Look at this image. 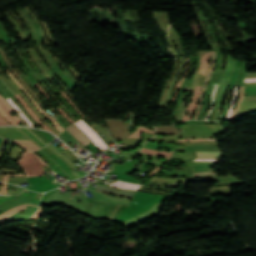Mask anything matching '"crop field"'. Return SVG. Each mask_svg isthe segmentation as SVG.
Returning a JSON list of instances; mask_svg holds the SVG:
<instances>
[{
  "instance_id": "8a807250",
  "label": "crop field",
  "mask_w": 256,
  "mask_h": 256,
  "mask_svg": "<svg viewBox=\"0 0 256 256\" xmlns=\"http://www.w3.org/2000/svg\"><path fill=\"white\" fill-rule=\"evenodd\" d=\"M25 176L43 175L44 171L41 166L46 163L32 152H23L17 160Z\"/></svg>"
},
{
  "instance_id": "ac0d7876",
  "label": "crop field",
  "mask_w": 256,
  "mask_h": 256,
  "mask_svg": "<svg viewBox=\"0 0 256 256\" xmlns=\"http://www.w3.org/2000/svg\"><path fill=\"white\" fill-rule=\"evenodd\" d=\"M74 124L77 127H79L97 147L102 148L104 150L108 148L106 144L101 140V138L93 131V129L82 119Z\"/></svg>"
},
{
  "instance_id": "34b2d1b8",
  "label": "crop field",
  "mask_w": 256,
  "mask_h": 256,
  "mask_svg": "<svg viewBox=\"0 0 256 256\" xmlns=\"http://www.w3.org/2000/svg\"><path fill=\"white\" fill-rule=\"evenodd\" d=\"M12 111L13 110L8 102L2 96H0V113L9 123L19 125L18 123L22 121L16 116L11 117L9 113Z\"/></svg>"
},
{
  "instance_id": "412701ff",
  "label": "crop field",
  "mask_w": 256,
  "mask_h": 256,
  "mask_svg": "<svg viewBox=\"0 0 256 256\" xmlns=\"http://www.w3.org/2000/svg\"><path fill=\"white\" fill-rule=\"evenodd\" d=\"M7 73H9L12 77V79L14 80V82L19 86V88L26 94V96L34 103V105L36 106V108L42 113L44 114L49 120H51L53 122V125L57 128V130L59 131H63L64 129L61 128L58 123L46 112L42 111L40 106L37 104V102L31 97V95L26 91V89L19 83V81L10 73L9 70H6Z\"/></svg>"
},
{
  "instance_id": "f4fd0767",
  "label": "crop field",
  "mask_w": 256,
  "mask_h": 256,
  "mask_svg": "<svg viewBox=\"0 0 256 256\" xmlns=\"http://www.w3.org/2000/svg\"><path fill=\"white\" fill-rule=\"evenodd\" d=\"M215 57H216V52H211V64H210V70H209V73L205 79V82H204V85L202 87V90L200 92V96H199V105L197 107V110H196V113H195V116L193 119H197L198 118V115L200 113V108H201V104H202V99H203V94H204V90L206 88V85L208 83V80H209V77L214 69V64H215Z\"/></svg>"
},
{
  "instance_id": "dd49c442",
  "label": "crop field",
  "mask_w": 256,
  "mask_h": 256,
  "mask_svg": "<svg viewBox=\"0 0 256 256\" xmlns=\"http://www.w3.org/2000/svg\"><path fill=\"white\" fill-rule=\"evenodd\" d=\"M83 146L89 145L91 140L74 124L66 128Z\"/></svg>"
},
{
  "instance_id": "e52e79f7",
  "label": "crop field",
  "mask_w": 256,
  "mask_h": 256,
  "mask_svg": "<svg viewBox=\"0 0 256 256\" xmlns=\"http://www.w3.org/2000/svg\"><path fill=\"white\" fill-rule=\"evenodd\" d=\"M200 89H201L200 87H198V86L196 87V90H195L194 95H193V97H192V102H191V104H189V106L186 108V110H188L189 113H190V114H189V117H186V116H185V112H184L182 121H184V120H189L191 114L194 112V110H195V108H196L197 98H198ZM186 110H185V111H186Z\"/></svg>"
},
{
  "instance_id": "d8731c3e",
  "label": "crop field",
  "mask_w": 256,
  "mask_h": 256,
  "mask_svg": "<svg viewBox=\"0 0 256 256\" xmlns=\"http://www.w3.org/2000/svg\"><path fill=\"white\" fill-rule=\"evenodd\" d=\"M27 205H32V206L38 207L37 205H33V204H23V205L14 207L12 209H9L6 212H4L2 215H0V223L2 221H4L7 217L13 215L14 213H16V212H18V211H20L22 209H26Z\"/></svg>"
},
{
  "instance_id": "5a996713",
  "label": "crop field",
  "mask_w": 256,
  "mask_h": 256,
  "mask_svg": "<svg viewBox=\"0 0 256 256\" xmlns=\"http://www.w3.org/2000/svg\"><path fill=\"white\" fill-rule=\"evenodd\" d=\"M17 99L23 104L24 108L33 116V118L45 129L51 131L45 124H43L39 118L30 110L29 106L26 104V102L21 98L19 94L15 95ZM53 132V131H51ZM54 133V132H53ZM55 134V133H54ZM57 135V134H56Z\"/></svg>"
},
{
  "instance_id": "3316defc",
  "label": "crop field",
  "mask_w": 256,
  "mask_h": 256,
  "mask_svg": "<svg viewBox=\"0 0 256 256\" xmlns=\"http://www.w3.org/2000/svg\"><path fill=\"white\" fill-rule=\"evenodd\" d=\"M209 59H210V52L206 53L201 57L200 71L204 75H207Z\"/></svg>"
},
{
  "instance_id": "28ad6ade",
  "label": "crop field",
  "mask_w": 256,
  "mask_h": 256,
  "mask_svg": "<svg viewBox=\"0 0 256 256\" xmlns=\"http://www.w3.org/2000/svg\"><path fill=\"white\" fill-rule=\"evenodd\" d=\"M14 142H16L18 145H20L22 148L26 149V150H31L34 151L36 149H39V147H37L34 143H32L31 141H27V140H16L14 139Z\"/></svg>"
},
{
  "instance_id": "d1516ede",
  "label": "crop field",
  "mask_w": 256,
  "mask_h": 256,
  "mask_svg": "<svg viewBox=\"0 0 256 256\" xmlns=\"http://www.w3.org/2000/svg\"><path fill=\"white\" fill-rule=\"evenodd\" d=\"M110 185L115 187L125 188V189H134V190H137L140 187V185L129 184L121 181L114 182Z\"/></svg>"
},
{
  "instance_id": "22f410ed",
  "label": "crop field",
  "mask_w": 256,
  "mask_h": 256,
  "mask_svg": "<svg viewBox=\"0 0 256 256\" xmlns=\"http://www.w3.org/2000/svg\"><path fill=\"white\" fill-rule=\"evenodd\" d=\"M198 158H221L222 152H197Z\"/></svg>"
},
{
  "instance_id": "cbeb9de0",
  "label": "crop field",
  "mask_w": 256,
  "mask_h": 256,
  "mask_svg": "<svg viewBox=\"0 0 256 256\" xmlns=\"http://www.w3.org/2000/svg\"><path fill=\"white\" fill-rule=\"evenodd\" d=\"M141 152H143V153H149V154H155V155H159V156H163V157H167V158H169V156H170L171 153H172V151H170V152L155 151V150H151V149H147V148H143Z\"/></svg>"
},
{
  "instance_id": "5142ce71",
  "label": "crop field",
  "mask_w": 256,
  "mask_h": 256,
  "mask_svg": "<svg viewBox=\"0 0 256 256\" xmlns=\"http://www.w3.org/2000/svg\"><path fill=\"white\" fill-rule=\"evenodd\" d=\"M237 97H238V87L235 86V89H234V98H232V102H231V103H235ZM234 105H235V104H231V106H230V108H229V110H228V113H227V118H226V120L231 119L232 113H233V109H234Z\"/></svg>"
},
{
  "instance_id": "d9b57169",
  "label": "crop field",
  "mask_w": 256,
  "mask_h": 256,
  "mask_svg": "<svg viewBox=\"0 0 256 256\" xmlns=\"http://www.w3.org/2000/svg\"><path fill=\"white\" fill-rule=\"evenodd\" d=\"M6 100H7V101L10 103V105L18 112L19 116H20L21 118H23V119L27 122V124H28L29 126L33 127L32 122H31L30 120H28V119L24 116V114L20 111V109L17 107V105H15L14 102H13L10 98H8V99H6Z\"/></svg>"
},
{
  "instance_id": "733c2abd",
  "label": "crop field",
  "mask_w": 256,
  "mask_h": 256,
  "mask_svg": "<svg viewBox=\"0 0 256 256\" xmlns=\"http://www.w3.org/2000/svg\"><path fill=\"white\" fill-rule=\"evenodd\" d=\"M141 131L150 132V133H154L155 134V131H151V130H148L147 128L143 127V126H140L133 134H131L127 138L141 137Z\"/></svg>"
},
{
  "instance_id": "4a817a6b",
  "label": "crop field",
  "mask_w": 256,
  "mask_h": 256,
  "mask_svg": "<svg viewBox=\"0 0 256 256\" xmlns=\"http://www.w3.org/2000/svg\"><path fill=\"white\" fill-rule=\"evenodd\" d=\"M217 85H218V84H215V85H214L213 92H212V95H211V108H210V110H209V114L206 115V117H205L204 120H207V119H208V117H209V115H210V112H211V110H212V108H213L214 95H215V93H216V91H217Z\"/></svg>"
},
{
  "instance_id": "bc2a9ffb",
  "label": "crop field",
  "mask_w": 256,
  "mask_h": 256,
  "mask_svg": "<svg viewBox=\"0 0 256 256\" xmlns=\"http://www.w3.org/2000/svg\"><path fill=\"white\" fill-rule=\"evenodd\" d=\"M61 94L70 102V104L76 109V111L80 114L81 117H84L79 111L78 109L75 107V105L73 104V102L71 101V99L63 92L61 91ZM68 102V103H69Z\"/></svg>"
},
{
  "instance_id": "214f88e0",
  "label": "crop field",
  "mask_w": 256,
  "mask_h": 256,
  "mask_svg": "<svg viewBox=\"0 0 256 256\" xmlns=\"http://www.w3.org/2000/svg\"><path fill=\"white\" fill-rule=\"evenodd\" d=\"M36 86L41 91V93L46 97V99L49 101L48 95H47L46 91L42 88V86L39 83H36Z\"/></svg>"
},
{
  "instance_id": "92a150f3",
  "label": "crop field",
  "mask_w": 256,
  "mask_h": 256,
  "mask_svg": "<svg viewBox=\"0 0 256 256\" xmlns=\"http://www.w3.org/2000/svg\"><path fill=\"white\" fill-rule=\"evenodd\" d=\"M55 107V106H54ZM59 111H60V113L65 117V118H67L69 121H71L72 123H74L73 122V120L62 110V109H60V108H57Z\"/></svg>"
},
{
  "instance_id": "dafd665d",
  "label": "crop field",
  "mask_w": 256,
  "mask_h": 256,
  "mask_svg": "<svg viewBox=\"0 0 256 256\" xmlns=\"http://www.w3.org/2000/svg\"><path fill=\"white\" fill-rule=\"evenodd\" d=\"M218 172H197L194 174V176H197V175H205V174H217Z\"/></svg>"
},
{
  "instance_id": "00972430",
  "label": "crop field",
  "mask_w": 256,
  "mask_h": 256,
  "mask_svg": "<svg viewBox=\"0 0 256 256\" xmlns=\"http://www.w3.org/2000/svg\"><path fill=\"white\" fill-rule=\"evenodd\" d=\"M8 176H24L21 174H9V175H5L3 181L7 182L8 181Z\"/></svg>"
},
{
  "instance_id": "a9b5d70f",
  "label": "crop field",
  "mask_w": 256,
  "mask_h": 256,
  "mask_svg": "<svg viewBox=\"0 0 256 256\" xmlns=\"http://www.w3.org/2000/svg\"><path fill=\"white\" fill-rule=\"evenodd\" d=\"M220 159H195L194 161H219Z\"/></svg>"
},
{
  "instance_id": "4177f3b9",
  "label": "crop field",
  "mask_w": 256,
  "mask_h": 256,
  "mask_svg": "<svg viewBox=\"0 0 256 256\" xmlns=\"http://www.w3.org/2000/svg\"><path fill=\"white\" fill-rule=\"evenodd\" d=\"M6 186L7 184L2 183V191L0 193L6 194Z\"/></svg>"
},
{
  "instance_id": "730fd06b",
  "label": "crop field",
  "mask_w": 256,
  "mask_h": 256,
  "mask_svg": "<svg viewBox=\"0 0 256 256\" xmlns=\"http://www.w3.org/2000/svg\"><path fill=\"white\" fill-rule=\"evenodd\" d=\"M0 125H9V124L0 116Z\"/></svg>"
},
{
  "instance_id": "eef30255",
  "label": "crop field",
  "mask_w": 256,
  "mask_h": 256,
  "mask_svg": "<svg viewBox=\"0 0 256 256\" xmlns=\"http://www.w3.org/2000/svg\"><path fill=\"white\" fill-rule=\"evenodd\" d=\"M244 82H256V78L245 79Z\"/></svg>"
},
{
  "instance_id": "ae1a2a85",
  "label": "crop field",
  "mask_w": 256,
  "mask_h": 256,
  "mask_svg": "<svg viewBox=\"0 0 256 256\" xmlns=\"http://www.w3.org/2000/svg\"><path fill=\"white\" fill-rule=\"evenodd\" d=\"M151 184H154V185H164V184H155V183H151ZM167 185H169V184H167Z\"/></svg>"
},
{
  "instance_id": "d3111659",
  "label": "crop field",
  "mask_w": 256,
  "mask_h": 256,
  "mask_svg": "<svg viewBox=\"0 0 256 256\" xmlns=\"http://www.w3.org/2000/svg\"><path fill=\"white\" fill-rule=\"evenodd\" d=\"M0 195H2V194H0ZM2 196H10V195H2Z\"/></svg>"
}]
</instances>
